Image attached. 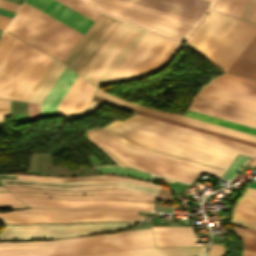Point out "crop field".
<instances>
[{
  "mask_svg": "<svg viewBox=\"0 0 256 256\" xmlns=\"http://www.w3.org/2000/svg\"><path fill=\"white\" fill-rule=\"evenodd\" d=\"M233 215L248 218V219H252V220H256V216L250 215V214H245V213H240V212L234 211Z\"/></svg>",
  "mask_w": 256,
  "mask_h": 256,
  "instance_id": "51",
  "label": "crop field"
},
{
  "mask_svg": "<svg viewBox=\"0 0 256 256\" xmlns=\"http://www.w3.org/2000/svg\"><path fill=\"white\" fill-rule=\"evenodd\" d=\"M11 38V35L7 33H3V35L0 38V52L3 50L9 39Z\"/></svg>",
  "mask_w": 256,
  "mask_h": 256,
  "instance_id": "50",
  "label": "crop field"
},
{
  "mask_svg": "<svg viewBox=\"0 0 256 256\" xmlns=\"http://www.w3.org/2000/svg\"><path fill=\"white\" fill-rule=\"evenodd\" d=\"M30 45L12 36L0 54V91Z\"/></svg>",
  "mask_w": 256,
  "mask_h": 256,
  "instance_id": "21",
  "label": "crop field"
},
{
  "mask_svg": "<svg viewBox=\"0 0 256 256\" xmlns=\"http://www.w3.org/2000/svg\"><path fill=\"white\" fill-rule=\"evenodd\" d=\"M157 246H205L195 245L196 236L209 234L154 233Z\"/></svg>",
  "mask_w": 256,
  "mask_h": 256,
  "instance_id": "28",
  "label": "crop field"
},
{
  "mask_svg": "<svg viewBox=\"0 0 256 256\" xmlns=\"http://www.w3.org/2000/svg\"><path fill=\"white\" fill-rule=\"evenodd\" d=\"M95 96L100 97V98H104V99H107V100H111V101L126 105L128 107H131V108H134V109H137V110H140V111L155 114V115H158V116L173 119V120H176V121H180V122H183V123L198 126V127H201V128H205V129H208V130L216 131V132H219V133H223V134H226V135H230V136H233V137L241 138V139L248 140V141L256 143V136L249 135V134L242 133V132H238V131H235V130H231V129L221 127V126H218V125L210 124V123H207V122L199 121V120H196V119H192V118H188V117H184V116H180V115H176V114H172V113L162 112V111H158V110L144 108L140 105L133 104V103L115 98L116 96L113 97V96H111V95H109V94H107V93H105V92H103L99 89L96 92Z\"/></svg>",
  "mask_w": 256,
  "mask_h": 256,
  "instance_id": "16",
  "label": "crop field"
},
{
  "mask_svg": "<svg viewBox=\"0 0 256 256\" xmlns=\"http://www.w3.org/2000/svg\"><path fill=\"white\" fill-rule=\"evenodd\" d=\"M25 2L33 5L34 7L83 34L94 22L55 0H26Z\"/></svg>",
  "mask_w": 256,
  "mask_h": 256,
  "instance_id": "17",
  "label": "crop field"
},
{
  "mask_svg": "<svg viewBox=\"0 0 256 256\" xmlns=\"http://www.w3.org/2000/svg\"><path fill=\"white\" fill-rule=\"evenodd\" d=\"M118 135H121L131 141H134L147 148L155 149L172 155L180 156L193 161L221 167L227 169L232 159L217 156L200 150L192 149L175 143L167 142L150 136L142 135L114 126L104 127Z\"/></svg>",
  "mask_w": 256,
  "mask_h": 256,
  "instance_id": "12",
  "label": "crop field"
},
{
  "mask_svg": "<svg viewBox=\"0 0 256 256\" xmlns=\"http://www.w3.org/2000/svg\"><path fill=\"white\" fill-rule=\"evenodd\" d=\"M57 1L75 9L76 11L82 13L83 15L87 16L88 18L94 21L100 14V11L86 5L85 3L79 0H57Z\"/></svg>",
  "mask_w": 256,
  "mask_h": 256,
  "instance_id": "37",
  "label": "crop field"
},
{
  "mask_svg": "<svg viewBox=\"0 0 256 256\" xmlns=\"http://www.w3.org/2000/svg\"><path fill=\"white\" fill-rule=\"evenodd\" d=\"M83 1L123 20L181 42L189 38L216 0Z\"/></svg>",
  "mask_w": 256,
  "mask_h": 256,
  "instance_id": "1",
  "label": "crop field"
},
{
  "mask_svg": "<svg viewBox=\"0 0 256 256\" xmlns=\"http://www.w3.org/2000/svg\"><path fill=\"white\" fill-rule=\"evenodd\" d=\"M1 32H2V31L0 30V34H1Z\"/></svg>",
  "mask_w": 256,
  "mask_h": 256,
  "instance_id": "61",
  "label": "crop field"
},
{
  "mask_svg": "<svg viewBox=\"0 0 256 256\" xmlns=\"http://www.w3.org/2000/svg\"><path fill=\"white\" fill-rule=\"evenodd\" d=\"M8 24V21H4L0 19V28L5 29L6 25Z\"/></svg>",
  "mask_w": 256,
  "mask_h": 256,
  "instance_id": "54",
  "label": "crop field"
},
{
  "mask_svg": "<svg viewBox=\"0 0 256 256\" xmlns=\"http://www.w3.org/2000/svg\"><path fill=\"white\" fill-rule=\"evenodd\" d=\"M206 247L151 248L86 256H202Z\"/></svg>",
  "mask_w": 256,
  "mask_h": 256,
  "instance_id": "24",
  "label": "crop field"
},
{
  "mask_svg": "<svg viewBox=\"0 0 256 256\" xmlns=\"http://www.w3.org/2000/svg\"><path fill=\"white\" fill-rule=\"evenodd\" d=\"M78 74L65 66L41 103V119L57 116V106Z\"/></svg>",
  "mask_w": 256,
  "mask_h": 256,
  "instance_id": "18",
  "label": "crop field"
},
{
  "mask_svg": "<svg viewBox=\"0 0 256 256\" xmlns=\"http://www.w3.org/2000/svg\"><path fill=\"white\" fill-rule=\"evenodd\" d=\"M94 100L100 101V102H103V103H106V104H109V105H112V106H115L117 108L129 111V112H132V113H135V114H138V115L146 116V117L153 118V119H156V120L164 121V122H167V123L175 124V125L182 126V127H185V128L193 129V130H196V131L204 132V133H207V134L215 135V136H218V137H222V138H225V139L233 140V141H236V142H240V143H244V144L256 147V144H254V143L246 142V141L239 140V139H236V138H232V137H229V136H225V135H222V134L214 133V132L207 131V130H204V129H200V128H197V127H193V126H190V125H186V124H183V123L172 121V120H169V119H165V118H161V117L154 116V115H151V114H147V113H144V112H140V111L125 107L123 105H120V104H117V103H114V102H111V101L103 100V99L96 98V97L94 98Z\"/></svg>",
  "mask_w": 256,
  "mask_h": 256,
  "instance_id": "29",
  "label": "crop field"
},
{
  "mask_svg": "<svg viewBox=\"0 0 256 256\" xmlns=\"http://www.w3.org/2000/svg\"><path fill=\"white\" fill-rule=\"evenodd\" d=\"M51 57L47 56L46 54L43 53L37 64L34 66L22 86L19 88L15 96L13 97L14 100H19L22 101L28 90L31 88L43 68L46 66L48 61L50 60Z\"/></svg>",
  "mask_w": 256,
  "mask_h": 256,
  "instance_id": "30",
  "label": "crop field"
},
{
  "mask_svg": "<svg viewBox=\"0 0 256 256\" xmlns=\"http://www.w3.org/2000/svg\"><path fill=\"white\" fill-rule=\"evenodd\" d=\"M249 187H253V188H256V182H253L249 185Z\"/></svg>",
  "mask_w": 256,
  "mask_h": 256,
  "instance_id": "59",
  "label": "crop field"
},
{
  "mask_svg": "<svg viewBox=\"0 0 256 256\" xmlns=\"http://www.w3.org/2000/svg\"><path fill=\"white\" fill-rule=\"evenodd\" d=\"M6 31L59 60L83 35L25 2Z\"/></svg>",
  "mask_w": 256,
  "mask_h": 256,
  "instance_id": "4",
  "label": "crop field"
},
{
  "mask_svg": "<svg viewBox=\"0 0 256 256\" xmlns=\"http://www.w3.org/2000/svg\"><path fill=\"white\" fill-rule=\"evenodd\" d=\"M210 84L256 96V81L238 76L224 74L222 76L211 79Z\"/></svg>",
  "mask_w": 256,
  "mask_h": 256,
  "instance_id": "27",
  "label": "crop field"
},
{
  "mask_svg": "<svg viewBox=\"0 0 256 256\" xmlns=\"http://www.w3.org/2000/svg\"><path fill=\"white\" fill-rule=\"evenodd\" d=\"M0 190H6L4 187H0Z\"/></svg>",
  "mask_w": 256,
  "mask_h": 256,
  "instance_id": "60",
  "label": "crop field"
},
{
  "mask_svg": "<svg viewBox=\"0 0 256 256\" xmlns=\"http://www.w3.org/2000/svg\"><path fill=\"white\" fill-rule=\"evenodd\" d=\"M1 182H22V183H44V184H55V185H66V186H79V185H92V184H103V183H117L119 185H100V186H83V187H65V186H54V185H32V184H12L3 183L4 186H21V187H34V188H49V189H60V190H82V189H93V188H115L124 189L128 191L139 192L148 195H155L157 189L146 187L138 184L122 181H111V180H85L76 182H53V181H39V180H24V179H0Z\"/></svg>",
  "mask_w": 256,
  "mask_h": 256,
  "instance_id": "14",
  "label": "crop field"
},
{
  "mask_svg": "<svg viewBox=\"0 0 256 256\" xmlns=\"http://www.w3.org/2000/svg\"><path fill=\"white\" fill-rule=\"evenodd\" d=\"M96 90V87L87 82L85 87L82 89L76 100L70 107L71 114L78 113L88 107L92 96Z\"/></svg>",
  "mask_w": 256,
  "mask_h": 256,
  "instance_id": "34",
  "label": "crop field"
},
{
  "mask_svg": "<svg viewBox=\"0 0 256 256\" xmlns=\"http://www.w3.org/2000/svg\"><path fill=\"white\" fill-rule=\"evenodd\" d=\"M86 82V80L78 75V77L70 87L69 91L58 106V116L70 114L69 107L75 100L81 89L84 87Z\"/></svg>",
  "mask_w": 256,
  "mask_h": 256,
  "instance_id": "31",
  "label": "crop field"
},
{
  "mask_svg": "<svg viewBox=\"0 0 256 256\" xmlns=\"http://www.w3.org/2000/svg\"><path fill=\"white\" fill-rule=\"evenodd\" d=\"M242 256H256V251H251V250L245 249Z\"/></svg>",
  "mask_w": 256,
  "mask_h": 256,
  "instance_id": "53",
  "label": "crop field"
},
{
  "mask_svg": "<svg viewBox=\"0 0 256 256\" xmlns=\"http://www.w3.org/2000/svg\"><path fill=\"white\" fill-rule=\"evenodd\" d=\"M226 246L212 244L208 256H223Z\"/></svg>",
  "mask_w": 256,
  "mask_h": 256,
  "instance_id": "46",
  "label": "crop field"
},
{
  "mask_svg": "<svg viewBox=\"0 0 256 256\" xmlns=\"http://www.w3.org/2000/svg\"><path fill=\"white\" fill-rule=\"evenodd\" d=\"M110 125L200 149L234 159L237 153L254 156L256 148L191 131L167 123L135 115L128 120L115 121Z\"/></svg>",
  "mask_w": 256,
  "mask_h": 256,
  "instance_id": "5",
  "label": "crop field"
},
{
  "mask_svg": "<svg viewBox=\"0 0 256 256\" xmlns=\"http://www.w3.org/2000/svg\"><path fill=\"white\" fill-rule=\"evenodd\" d=\"M18 7H19V4H15L5 0H0V8H4L7 10L16 12Z\"/></svg>",
  "mask_w": 256,
  "mask_h": 256,
  "instance_id": "48",
  "label": "crop field"
},
{
  "mask_svg": "<svg viewBox=\"0 0 256 256\" xmlns=\"http://www.w3.org/2000/svg\"><path fill=\"white\" fill-rule=\"evenodd\" d=\"M99 103L97 102H92V104L84 111L82 112L81 114H78V115H72V116H66V118H69V119H76V118H80V117H83L85 116L86 114L92 112L93 110H95V108L97 107Z\"/></svg>",
  "mask_w": 256,
  "mask_h": 256,
  "instance_id": "47",
  "label": "crop field"
},
{
  "mask_svg": "<svg viewBox=\"0 0 256 256\" xmlns=\"http://www.w3.org/2000/svg\"><path fill=\"white\" fill-rule=\"evenodd\" d=\"M198 96L256 112V98L214 85L207 84L203 86Z\"/></svg>",
  "mask_w": 256,
  "mask_h": 256,
  "instance_id": "20",
  "label": "crop field"
},
{
  "mask_svg": "<svg viewBox=\"0 0 256 256\" xmlns=\"http://www.w3.org/2000/svg\"><path fill=\"white\" fill-rule=\"evenodd\" d=\"M0 18H1V19H4V20H8V21H10V20H11V18L4 17V16H1V15H0Z\"/></svg>",
  "mask_w": 256,
  "mask_h": 256,
  "instance_id": "58",
  "label": "crop field"
},
{
  "mask_svg": "<svg viewBox=\"0 0 256 256\" xmlns=\"http://www.w3.org/2000/svg\"><path fill=\"white\" fill-rule=\"evenodd\" d=\"M184 116L196 118V119H199V120L211 122V123H214V124L222 125V126H225V127L237 129V130H240V131H243V132H247V133L256 135V129L249 128V127H246V126H242V125H239V124H235V123H232V122H228V121H225V120H221V119H218V118L210 117V116L203 115V114H200V113H196V112H193V111L187 110L185 112Z\"/></svg>",
  "mask_w": 256,
  "mask_h": 256,
  "instance_id": "32",
  "label": "crop field"
},
{
  "mask_svg": "<svg viewBox=\"0 0 256 256\" xmlns=\"http://www.w3.org/2000/svg\"><path fill=\"white\" fill-rule=\"evenodd\" d=\"M43 52L30 46L23 59L0 92V98L12 99Z\"/></svg>",
  "mask_w": 256,
  "mask_h": 256,
  "instance_id": "22",
  "label": "crop field"
},
{
  "mask_svg": "<svg viewBox=\"0 0 256 256\" xmlns=\"http://www.w3.org/2000/svg\"><path fill=\"white\" fill-rule=\"evenodd\" d=\"M148 233H152L151 229L139 230V231H130V232H122V233H115V234H108V235H98V236L59 239V240H51V241L17 242V243L0 242V246L53 245V244L79 242V241L96 240V239H105V238L122 237V236H131V235L148 234Z\"/></svg>",
  "mask_w": 256,
  "mask_h": 256,
  "instance_id": "26",
  "label": "crop field"
},
{
  "mask_svg": "<svg viewBox=\"0 0 256 256\" xmlns=\"http://www.w3.org/2000/svg\"><path fill=\"white\" fill-rule=\"evenodd\" d=\"M240 19L256 24V0H247Z\"/></svg>",
  "mask_w": 256,
  "mask_h": 256,
  "instance_id": "39",
  "label": "crop field"
},
{
  "mask_svg": "<svg viewBox=\"0 0 256 256\" xmlns=\"http://www.w3.org/2000/svg\"><path fill=\"white\" fill-rule=\"evenodd\" d=\"M245 2L246 0H218L214 10L238 18Z\"/></svg>",
  "mask_w": 256,
  "mask_h": 256,
  "instance_id": "35",
  "label": "crop field"
},
{
  "mask_svg": "<svg viewBox=\"0 0 256 256\" xmlns=\"http://www.w3.org/2000/svg\"><path fill=\"white\" fill-rule=\"evenodd\" d=\"M147 33L123 22L80 75L99 87L106 84Z\"/></svg>",
  "mask_w": 256,
  "mask_h": 256,
  "instance_id": "6",
  "label": "crop field"
},
{
  "mask_svg": "<svg viewBox=\"0 0 256 256\" xmlns=\"http://www.w3.org/2000/svg\"><path fill=\"white\" fill-rule=\"evenodd\" d=\"M255 33V25L213 11L186 46L226 71Z\"/></svg>",
  "mask_w": 256,
  "mask_h": 256,
  "instance_id": "3",
  "label": "crop field"
},
{
  "mask_svg": "<svg viewBox=\"0 0 256 256\" xmlns=\"http://www.w3.org/2000/svg\"><path fill=\"white\" fill-rule=\"evenodd\" d=\"M96 169H98L100 172L124 174V175H129L132 177H137V178H142L147 180H149L151 177V174L128 169V168H123V167L108 166V167H97Z\"/></svg>",
  "mask_w": 256,
  "mask_h": 256,
  "instance_id": "38",
  "label": "crop field"
},
{
  "mask_svg": "<svg viewBox=\"0 0 256 256\" xmlns=\"http://www.w3.org/2000/svg\"><path fill=\"white\" fill-rule=\"evenodd\" d=\"M121 23L122 21L102 13L65 57L63 63L80 74Z\"/></svg>",
  "mask_w": 256,
  "mask_h": 256,
  "instance_id": "11",
  "label": "crop field"
},
{
  "mask_svg": "<svg viewBox=\"0 0 256 256\" xmlns=\"http://www.w3.org/2000/svg\"><path fill=\"white\" fill-rule=\"evenodd\" d=\"M231 223L240 225V226H244V227H248V228H252V229H256V221H252V220H248V219H244V218H239V217L233 216Z\"/></svg>",
  "mask_w": 256,
  "mask_h": 256,
  "instance_id": "43",
  "label": "crop field"
},
{
  "mask_svg": "<svg viewBox=\"0 0 256 256\" xmlns=\"http://www.w3.org/2000/svg\"><path fill=\"white\" fill-rule=\"evenodd\" d=\"M27 205L45 208H111L151 211V203L117 200H58L35 197H17Z\"/></svg>",
  "mask_w": 256,
  "mask_h": 256,
  "instance_id": "13",
  "label": "crop field"
},
{
  "mask_svg": "<svg viewBox=\"0 0 256 256\" xmlns=\"http://www.w3.org/2000/svg\"><path fill=\"white\" fill-rule=\"evenodd\" d=\"M9 1L21 4L23 0H9Z\"/></svg>",
  "mask_w": 256,
  "mask_h": 256,
  "instance_id": "57",
  "label": "crop field"
},
{
  "mask_svg": "<svg viewBox=\"0 0 256 256\" xmlns=\"http://www.w3.org/2000/svg\"><path fill=\"white\" fill-rule=\"evenodd\" d=\"M235 210L256 215V189L247 187Z\"/></svg>",
  "mask_w": 256,
  "mask_h": 256,
  "instance_id": "36",
  "label": "crop field"
},
{
  "mask_svg": "<svg viewBox=\"0 0 256 256\" xmlns=\"http://www.w3.org/2000/svg\"><path fill=\"white\" fill-rule=\"evenodd\" d=\"M248 164H250V165L256 167V159L250 161V163H248Z\"/></svg>",
  "mask_w": 256,
  "mask_h": 256,
  "instance_id": "56",
  "label": "crop field"
},
{
  "mask_svg": "<svg viewBox=\"0 0 256 256\" xmlns=\"http://www.w3.org/2000/svg\"><path fill=\"white\" fill-rule=\"evenodd\" d=\"M189 110L256 128V113L196 96Z\"/></svg>",
  "mask_w": 256,
  "mask_h": 256,
  "instance_id": "15",
  "label": "crop field"
},
{
  "mask_svg": "<svg viewBox=\"0 0 256 256\" xmlns=\"http://www.w3.org/2000/svg\"><path fill=\"white\" fill-rule=\"evenodd\" d=\"M240 238L243 240L245 248L256 250V240L245 238V237H240Z\"/></svg>",
  "mask_w": 256,
  "mask_h": 256,
  "instance_id": "49",
  "label": "crop field"
},
{
  "mask_svg": "<svg viewBox=\"0 0 256 256\" xmlns=\"http://www.w3.org/2000/svg\"><path fill=\"white\" fill-rule=\"evenodd\" d=\"M10 116L9 101L0 100V121L4 122L5 117Z\"/></svg>",
  "mask_w": 256,
  "mask_h": 256,
  "instance_id": "44",
  "label": "crop field"
},
{
  "mask_svg": "<svg viewBox=\"0 0 256 256\" xmlns=\"http://www.w3.org/2000/svg\"><path fill=\"white\" fill-rule=\"evenodd\" d=\"M154 232H181L193 233L192 227H175V226H152Z\"/></svg>",
  "mask_w": 256,
  "mask_h": 256,
  "instance_id": "41",
  "label": "crop field"
},
{
  "mask_svg": "<svg viewBox=\"0 0 256 256\" xmlns=\"http://www.w3.org/2000/svg\"><path fill=\"white\" fill-rule=\"evenodd\" d=\"M0 177L16 178V175L0 174Z\"/></svg>",
  "mask_w": 256,
  "mask_h": 256,
  "instance_id": "55",
  "label": "crop field"
},
{
  "mask_svg": "<svg viewBox=\"0 0 256 256\" xmlns=\"http://www.w3.org/2000/svg\"><path fill=\"white\" fill-rule=\"evenodd\" d=\"M234 231L237 235L256 239V231L255 230L234 227Z\"/></svg>",
  "mask_w": 256,
  "mask_h": 256,
  "instance_id": "45",
  "label": "crop field"
},
{
  "mask_svg": "<svg viewBox=\"0 0 256 256\" xmlns=\"http://www.w3.org/2000/svg\"><path fill=\"white\" fill-rule=\"evenodd\" d=\"M145 216L137 211L121 210H54L25 209L0 213V221L5 223H75L88 221L139 220Z\"/></svg>",
  "mask_w": 256,
  "mask_h": 256,
  "instance_id": "9",
  "label": "crop field"
},
{
  "mask_svg": "<svg viewBox=\"0 0 256 256\" xmlns=\"http://www.w3.org/2000/svg\"><path fill=\"white\" fill-rule=\"evenodd\" d=\"M0 205L25 206L15 199L10 192H0Z\"/></svg>",
  "mask_w": 256,
  "mask_h": 256,
  "instance_id": "42",
  "label": "crop field"
},
{
  "mask_svg": "<svg viewBox=\"0 0 256 256\" xmlns=\"http://www.w3.org/2000/svg\"><path fill=\"white\" fill-rule=\"evenodd\" d=\"M64 66L51 58L23 101L41 103Z\"/></svg>",
  "mask_w": 256,
  "mask_h": 256,
  "instance_id": "23",
  "label": "crop field"
},
{
  "mask_svg": "<svg viewBox=\"0 0 256 256\" xmlns=\"http://www.w3.org/2000/svg\"><path fill=\"white\" fill-rule=\"evenodd\" d=\"M17 178H24V179H44V180H56V181H66V180H78V179H90V178H108V179H115V180H122V181H129L133 183H138L146 186H151L158 188V186L147 184L142 181L125 178V177H117L111 175H98V176H86V177H66V178H56V177H46V176H34V175H17Z\"/></svg>",
  "mask_w": 256,
  "mask_h": 256,
  "instance_id": "33",
  "label": "crop field"
},
{
  "mask_svg": "<svg viewBox=\"0 0 256 256\" xmlns=\"http://www.w3.org/2000/svg\"><path fill=\"white\" fill-rule=\"evenodd\" d=\"M182 46L149 32L107 84L142 78L160 70L169 64Z\"/></svg>",
  "mask_w": 256,
  "mask_h": 256,
  "instance_id": "8",
  "label": "crop field"
},
{
  "mask_svg": "<svg viewBox=\"0 0 256 256\" xmlns=\"http://www.w3.org/2000/svg\"><path fill=\"white\" fill-rule=\"evenodd\" d=\"M86 134L94 145L121 165L123 164L110 155L102 144L127 166L186 183L191 182L201 171L217 176H222L224 173V170L147 150L103 128L86 131ZM115 138L148 153L128 147Z\"/></svg>",
  "mask_w": 256,
  "mask_h": 256,
  "instance_id": "2",
  "label": "crop field"
},
{
  "mask_svg": "<svg viewBox=\"0 0 256 256\" xmlns=\"http://www.w3.org/2000/svg\"><path fill=\"white\" fill-rule=\"evenodd\" d=\"M136 222H102L73 225L30 224L7 225L0 239L56 238L115 230Z\"/></svg>",
  "mask_w": 256,
  "mask_h": 256,
  "instance_id": "10",
  "label": "crop field"
},
{
  "mask_svg": "<svg viewBox=\"0 0 256 256\" xmlns=\"http://www.w3.org/2000/svg\"><path fill=\"white\" fill-rule=\"evenodd\" d=\"M9 191H26V192H40V193H56V194H64V195H90V194H129L141 197H133V196H116V195H96V196H56V195H43V194H31V193H19L12 192L14 195H29V196H45V197H56V198H66V199H99V198H107V199H135V200H146L152 201V196L142 195L138 193L128 192L124 190H98V191H84V192H62V191H47V190H36V189H26V188H18V187H6Z\"/></svg>",
  "mask_w": 256,
  "mask_h": 256,
  "instance_id": "19",
  "label": "crop field"
},
{
  "mask_svg": "<svg viewBox=\"0 0 256 256\" xmlns=\"http://www.w3.org/2000/svg\"><path fill=\"white\" fill-rule=\"evenodd\" d=\"M0 14L12 18L13 15H14V12H10V11L4 10V9H0Z\"/></svg>",
  "mask_w": 256,
  "mask_h": 256,
  "instance_id": "52",
  "label": "crop field"
},
{
  "mask_svg": "<svg viewBox=\"0 0 256 256\" xmlns=\"http://www.w3.org/2000/svg\"><path fill=\"white\" fill-rule=\"evenodd\" d=\"M249 158L237 156L232 165L229 167L223 178L231 179L239 170L241 165L245 163Z\"/></svg>",
  "mask_w": 256,
  "mask_h": 256,
  "instance_id": "40",
  "label": "crop field"
},
{
  "mask_svg": "<svg viewBox=\"0 0 256 256\" xmlns=\"http://www.w3.org/2000/svg\"><path fill=\"white\" fill-rule=\"evenodd\" d=\"M155 247L152 234L53 246L0 247V256H77Z\"/></svg>",
  "mask_w": 256,
  "mask_h": 256,
  "instance_id": "7",
  "label": "crop field"
},
{
  "mask_svg": "<svg viewBox=\"0 0 256 256\" xmlns=\"http://www.w3.org/2000/svg\"><path fill=\"white\" fill-rule=\"evenodd\" d=\"M227 72L256 80V34L228 68Z\"/></svg>",
  "mask_w": 256,
  "mask_h": 256,
  "instance_id": "25",
  "label": "crop field"
}]
</instances>
